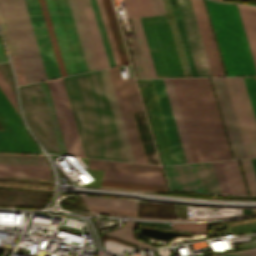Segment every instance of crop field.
I'll list each match as a JSON object with an SVG mask.
<instances>
[{
  "mask_svg": "<svg viewBox=\"0 0 256 256\" xmlns=\"http://www.w3.org/2000/svg\"><path fill=\"white\" fill-rule=\"evenodd\" d=\"M141 53L131 54L138 78L153 77L135 18H130Z\"/></svg>",
  "mask_w": 256,
  "mask_h": 256,
  "instance_id": "crop-field-25",
  "label": "crop field"
},
{
  "mask_svg": "<svg viewBox=\"0 0 256 256\" xmlns=\"http://www.w3.org/2000/svg\"><path fill=\"white\" fill-rule=\"evenodd\" d=\"M150 3L154 14L165 13L162 0H150Z\"/></svg>",
  "mask_w": 256,
  "mask_h": 256,
  "instance_id": "crop-field-51",
  "label": "crop field"
},
{
  "mask_svg": "<svg viewBox=\"0 0 256 256\" xmlns=\"http://www.w3.org/2000/svg\"><path fill=\"white\" fill-rule=\"evenodd\" d=\"M68 75L85 72L86 66L66 0H45Z\"/></svg>",
  "mask_w": 256,
  "mask_h": 256,
  "instance_id": "crop-field-6",
  "label": "crop field"
},
{
  "mask_svg": "<svg viewBox=\"0 0 256 256\" xmlns=\"http://www.w3.org/2000/svg\"><path fill=\"white\" fill-rule=\"evenodd\" d=\"M0 25L4 31V34H5V37H6V41H7V44H8V47H9V51H10V55L11 56H14V55H17L16 53V49H15V45H14V41L9 33V30L3 20V17L0 13Z\"/></svg>",
  "mask_w": 256,
  "mask_h": 256,
  "instance_id": "crop-field-45",
  "label": "crop field"
},
{
  "mask_svg": "<svg viewBox=\"0 0 256 256\" xmlns=\"http://www.w3.org/2000/svg\"><path fill=\"white\" fill-rule=\"evenodd\" d=\"M0 163L48 165L44 155L0 154Z\"/></svg>",
  "mask_w": 256,
  "mask_h": 256,
  "instance_id": "crop-field-33",
  "label": "crop field"
},
{
  "mask_svg": "<svg viewBox=\"0 0 256 256\" xmlns=\"http://www.w3.org/2000/svg\"><path fill=\"white\" fill-rule=\"evenodd\" d=\"M158 77H184L166 15L140 17Z\"/></svg>",
  "mask_w": 256,
  "mask_h": 256,
  "instance_id": "crop-field-5",
  "label": "crop field"
},
{
  "mask_svg": "<svg viewBox=\"0 0 256 256\" xmlns=\"http://www.w3.org/2000/svg\"><path fill=\"white\" fill-rule=\"evenodd\" d=\"M0 176L50 178L48 170L0 168Z\"/></svg>",
  "mask_w": 256,
  "mask_h": 256,
  "instance_id": "crop-field-37",
  "label": "crop field"
},
{
  "mask_svg": "<svg viewBox=\"0 0 256 256\" xmlns=\"http://www.w3.org/2000/svg\"><path fill=\"white\" fill-rule=\"evenodd\" d=\"M164 167L171 189L204 192L195 164Z\"/></svg>",
  "mask_w": 256,
  "mask_h": 256,
  "instance_id": "crop-field-19",
  "label": "crop field"
},
{
  "mask_svg": "<svg viewBox=\"0 0 256 256\" xmlns=\"http://www.w3.org/2000/svg\"><path fill=\"white\" fill-rule=\"evenodd\" d=\"M10 252L8 251H4V255L3 256H8Z\"/></svg>",
  "mask_w": 256,
  "mask_h": 256,
  "instance_id": "crop-field-58",
  "label": "crop field"
},
{
  "mask_svg": "<svg viewBox=\"0 0 256 256\" xmlns=\"http://www.w3.org/2000/svg\"><path fill=\"white\" fill-rule=\"evenodd\" d=\"M222 193L230 194L220 161L213 162Z\"/></svg>",
  "mask_w": 256,
  "mask_h": 256,
  "instance_id": "crop-field-44",
  "label": "crop field"
},
{
  "mask_svg": "<svg viewBox=\"0 0 256 256\" xmlns=\"http://www.w3.org/2000/svg\"><path fill=\"white\" fill-rule=\"evenodd\" d=\"M62 76L67 75L44 0H39Z\"/></svg>",
  "mask_w": 256,
  "mask_h": 256,
  "instance_id": "crop-field-35",
  "label": "crop field"
},
{
  "mask_svg": "<svg viewBox=\"0 0 256 256\" xmlns=\"http://www.w3.org/2000/svg\"><path fill=\"white\" fill-rule=\"evenodd\" d=\"M209 223H173L172 229L207 233Z\"/></svg>",
  "mask_w": 256,
  "mask_h": 256,
  "instance_id": "crop-field-42",
  "label": "crop field"
},
{
  "mask_svg": "<svg viewBox=\"0 0 256 256\" xmlns=\"http://www.w3.org/2000/svg\"><path fill=\"white\" fill-rule=\"evenodd\" d=\"M64 79L86 156L127 161L101 72Z\"/></svg>",
  "mask_w": 256,
  "mask_h": 256,
  "instance_id": "crop-field-2",
  "label": "crop field"
},
{
  "mask_svg": "<svg viewBox=\"0 0 256 256\" xmlns=\"http://www.w3.org/2000/svg\"><path fill=\"white\" fill-rule=\"evenodd\" d=\"M199 76H212L190 0H176Z\"/></svg>",
  "mask_w": 256,
  "mask_h": 256,
  "instance_id": "crop-field-14",
  "label": "crop field"
},
{
  "mask_svg": "<svg viewBox=\"0 0 256 256\" xmlns=\"http://www.w3.org/2000/svg\"><path fill=\"white\" fill-rule=\"evenodd\" d=\"M0 90L3 92V94L5 95L7 100L10 102V104L12 105V107L15 109V111L18 114V110H17V106H16V103H15L14 95L12 94V92L7 87V85L5 84V82L3 81V79L1 77H0Z\"/></svg>",
  "mask_w": 256,
  "mask_h": 256,
  "instance_id": "crop-field-46",
  "label": "crop field"
},
{
  "mask_svg": "<svg viewBox=\"0 0 256 256\" xmlns=\"http://www.w3.org/2000/svg\"><path fill=\"white\" fill-rule=\"evenodd\" d=\"M97 3H98V6H99V10H100V13H101V17H102V20H103L104 27H105V30H106V34H107V37H108L110 48H111V51H112V54H113L115 65L119 66V65H121L120 60H119V57H118V54H117V50H116V47H115V43H114V40H113V37H112V33H111V30H110V27H109V23H108V20H107V16H106V13H105V10H104L102 0H97Z\"/></svg>",
  "mask_w": 256,
  "mask_h": 256,
  "instance_id": "crop-field-40",
  "label": "crop field"
},
{
  "mask_svg": "<svg viewBox=\"0 0 256 256\" xmlns=\"http://www.w3.org/2000/svg\"><path fill=\"white\" fill-rule=\"evenodd\" d=\"M213 76H224L202 0H191Z\"/></svg>",
  "mask_w": 256,
  "mask_h": 256,
  "instance_id": "crop-field-18",
  "label": "crop field"
},
{
  "mask_svg": "<svg viewBox=\"0 0 256 256\" xmlns=\"http://www.w3.org/2000/svg\"><path fill=\"white\" fill-rule=\"evenodd\" d=\"M248 158L256 157V122L242 78H224Z\"/></svg>",
  "mask_w": 256,
  "mask_h": 256,
  "instance_id": "crop-field-10",
  "label": "crop field"
},
{
  "mask_svg": "<svg viewBox=\"0 0 256 256\" xmlns=\"http://www.w3.org/2000/svg\"><path fill=\"white\" fill-rule=\"evenodd\" d=\"M163 80L187 162L232 159L209 79Z\"/></svg>",
  "mask_w": 256,
  "mask_h": 256,
  "instance_id": "crop-field-1",
  "label": "crop field"
},
{
  "mask_svg": "<svg viewBox=\"0 0 256 256\" xmlns=\"http://www.w3.org/2000/svg\"><path fill=\"white\" fill-rule=\"evenodd\" d=\"M0 152L43 153L0 91Z\"/></svg>",
  "mask_w": 256,
  "mask_h": 256,
  "instance_id": "crop-field-9",
  "label": "crop field"
},
{
  "mask_svg": "<svg viewBox=\"0 0 256 256\" xmlns=\"http://www.w3.org/2000/svg\"><path fill=\"white\" fill-rule=\"evenodd\" d=\"M244 253L256 256V250L248 251V252H244Z\"/></svg>",
  "mask_w": 256,
  "mask_h": 256,
  "instance_id": "crop-field-56",
  "label": "crop field"
},
{
  "mask_svg": "<svg viewBox=\"0 0 256 256\" xmlns=\"http://www.w3.org/2000/svg\"><path fill=\"white\" fill-rule=\"evenodd\" d=\"M185 77L192 76L169 0H163Z\"/></svg>",
  "mask_w": 256,
  "mask_h": 256,
  "instance_id": "crop-field-28",
  "label": "crop field"
},
{
  "mask_svg": "<svg viewBox=\"0 0 256 256\" xmlns=\"http://www.w3.org/2000/svg\"><path fill=\"white\" fill-rule=\"evenodd\" d=\"M222 1V0H221Z\"/></svg>",
  "mask_w": 256,
  "mask_h": 256,
  "instance_id": "crop-field-60",
  "label": "crop field"
},
{
  "mask_svg": "<svg viewBox=\"0 0 256 256\" xmlns=\"http://www.w3.org/2000/svg\"><path fill=\"white\" fill-rule=\"evenodd\" d=\"M120 113L135 162L146 163L131 112L143 110L133 78L121 80L119 69H109Z\"/></svg>",
  "mask_w": 256,
  "mask_h": 256,
  "instance_id": "crop-field-8",
  "label": "crop field"
},
{
  "mask_svg": "<svg viewBox=\"0 0 256 256\" xmlns=\"http://www.w3.org/2000/svg\"><path fill=\"white\" fill-rule=\"evenodd\" d=\"M4 60H6V59H5V55H4L2 44L0 42V61H4Z\"/></svg>",
  "mask_w": 256,
  "mask_h": 256,
  "instance_id": "crop-field-55",
  "label": "crop field"
},
{
  "mask_svg": "<svg viewBox=\"0 0 256 256\" xmlns=\"http://www.w3.org/2000/svg\"><path fill=\"white\" fill-rule=\"evenodd\" d=\"M226 256H229V255H226Z\"/></svg>",
  "mask_w": 256,
  "mask_h": 256,
  "instance_id": "crop-field-59",
  "label": "crop field"
},
{
  "mask_svg": "<svg viewBox=\"0 0 256 256\" xmlns=\"http://www.w3.org/2000/svg\"><path fill=\"white\" fill-rule=\"evenodd\" d=\"M90 1H91L93 11H94V15H95V18H96L97 25H98V28H99L101 39H102V42H103V45H104L106 56H107V59H108V62H109V66L113 67V66H115L114 61H113L112 54H111V51H110V48H109V44H108V41H107V37H106L105 30H104V27H103V24H102V20H101V17H100V13H99V10H98L96 0H90Z\"/></svg>",
  "mask_w": 256,
  "mask_h": 256,
  "instance_id": "crop-field-39",
  "label": "crop field"
},
{
  "mask_svg": "<svg viewBox=\"0 0 256 256\" xmlns=\"http://www.w3.org/2000/svg\"><path fill=\"white\" fill-rule=\"evenodd\" d=\"M205 192L221 193L212 162L196 164Z\"/></svg>",
  "mask_w": 256,
  "mask_h": 256,
  "instance_id": "crop-field-30",
  "label": "crop field"
},
{
  "mask_svg": "<svg viewBox=\"0 0 256 256\" xmlns=\"http://www.w3.org/2000/svg\"><path fill=\"white\" fill-rule=\"evenodd\" d=\"M133 227H134V222L128 221V222H126L125 225L120 227L118 230L104 233V234H107V235H110V236H113V237H116V238H119V239H122L125 241L136 243L138 245L139 249L154 247L150 244H147L143 241L133 238V235H132Z\"/></svg>",
  "mask_w": 256,
  "mask_h": 256,
  "instance_id": "crop-field-34",
  "label": "crop field"
},
{
  "mask_svg": "<svg viewBox=\"0 0 256 256\" xmlns=\"http://www.w3.org/2000/svg\"><path fill=\"white\" fill-rule=\"evenodd\" d=\"M250 194H256V176L250 159L240 160Z\"/></svg>",
  "mask_w": 256,
  "mask_h": 256,
  "instance_id": "crop-field-41",
  "label": "crop field"
},
{
  "mask_svg": "<svg viewBox=\"0 0 256 256\" xmlns=\"http://www.w3.org/2000/svg\"><path fill=\"white\" fill-rule=\"evenodd\" d=\"M89 168L162 176L160 167L153 166V165L132 164V163L89 159Z\"/></svg>",
  "mask_w": 256,
  "mask_h": 256,
  "instance_id": "crop-field-20",
  "label": "crop field"
},
{
  "mask_svg": "<svg viewBox=\"0 0 256 256\" xmlns=\"http://www.w3.org/2000/svg\"><path fill=\"white\" fill-rule=\"evenodd\" d=\"M69 155L84 156L63 79L47 81Z\"/></svg>",
  "mask_w": 256,
  "mask_h": 256,
  "instance_id": "crop-field-11",
  "label": "crop field"
},
{
  "mask_svg": "<svg viewBox=\"0 0 256 256\" xmlns=\"http://www.w3.org/2000/svg\"><path fill=\"white\" fill-rule=\"evenodd\" d=\"M40 84H41V88H42V91H43V94H44V98H45V101H46L48 112H49V115H50V118H51V122H52V125H53L55 136H56V139H57V142H58L60 153L63 154V155H68L65 144H64V140H63V137H62V134H61V130H60V127H59V124H58L56 113H55V110H54V107H53V103H52V100H51V97H50V93H49V90H48V87H47V83L43 82V83H40Z\"/></svg>",
  "mask_w": 256,
  "mask_h": 256,
  "instance_id": "crop-field-31",
  "label": "crop field"
},
{
  "mask_svg": "<svg viewBox=\"0 0 256 256\" xmlns=\"http://www.w3.org/2000/svg\"><path fill=\"white\" fill-rule=\"evenodd\" d=\"M101 72H102V76H103L105 86H106V89H107V92H108L110 103H111V106H112V109H113V113H114V116H115V119H116V123H117L118 129H119V133H120L121 140H122V143H123V146H124V150H125V153H126V156H127V160L130 161V162H134L132 154H131V150H130V147H129V144H128V140H127V137H126V133H125V130H124V126H123V123H122V119H121V116H120V113H119V109H118V106H117V102H116V99H115V95H114V92H113V88H112L110 78H109V75H108V71L104 70V71H101Z\"/></svg>",
  "mask_w": 256,
  "mask_h": 256,
  "instance_id": "crop-field-23",
  "label": "crop field"
},
{
  "mask_svg": "<svg viewBox=\"0 0 256 256\" xmlns=\"http://www.w3.org/2000/svg\"><path fill=\"white\" fill-rule=\"evenodd\" d=\"M0 11L15 41L26 82L47 79L24 0H0Z\"/></svg>",
  "mask_w": 256,
  "mask_h": 256,
  "instance_id": "crop-field-4",
  "label": "crop field"
},
{
  "mask_svg": "<svg viewBox=\"0 0 256 256\" xmlns=\"http://www.w3.org/2000/svg\"><path fill=\"white\" fill-rule=\"evenodd\" d=\"M256 67V7L237 5Z\"/></svg>",
  "mask_w": 256,
  "mask_h": 256,
  "instance_id": "crop-field-22",
  "label": "crop field"
},
{
  "mask_svg": "<svg viewBox=\"0 0 256 256\" xmlns=\"http://www.w3.org/2000/svg\"><path fill=\"white\" fill-rule=\"evenodd\" d=\"M143 1H144V4H145V7H146L147 14L148 15L153 14L150 3H149V0H143Z\"/></svg>",
  "mask_w": 256,
  "mask_h": 256,
  "instance_id": "crop-field-54",
  "label": "crop field"
},
{
  "mask_svg": "<svg viewBox=\"0 0 256 256\" xmlns=\"http://www.w3.org/2000/svg\"><path fill=\"white\" fill-rule=\"evenodd\" d=\"M68 3H69V6H70V10H71L73 20H74V23H75V26H76V30H77V33H78V36H79V40H80V43H81V46H82V50H83V53H84V56H85V60H86L87 66H88V70L89 71L95 70L92 59H91V55H90V52H89V48H88V45H87V41H86V38H85V35H84V31H83V28H82V24H81V21H80V18H79V14H78V11H77L75 1L74 0H68Z\"/></svg>",
  "mask_w": 256,
  "mask_h": 256,
  "instance_id": "crop-field-32",
  "label": "crop field"
},
{
  "mask_svg": "<svg viewBox=\"0 0 256 256\" xmlns=\"http://www.w3.org/2000/svg\"><path fill=\"white\" fill-rule=\"evenodd\" d=\"M193 76H198L175 0H170Z\"/></svg>",
  "mask_w": 256,
  "mask_h": 256,
  "instance_id": "crop-field-36",
  "label": "crop field"
},
{
  "mask_svg": "<svg viewBox=\"0 0 256 256\" xmlns=\"http://www.w3.org/2000/svg\"><path fill=\"white\" fill-rule=\"evenodd\" d=\"M0 167L49 169L48 166H35V165H9V164H0Z\"/></svg>",
  "mask_w": 256,
  "mask_h": 256,
  "instance_id": "crop-field-52",
  "label": "crop field"
},
{
  "mask_svg": "<svg viewBox=\"0 0 256 256\" xmlns=\"http://www.w3.org/2000/svg\"><path fill=\"white\" fill-rule=\"evenodd\" d=\"M177 163H187L162 79L152 80Z\"/></svg>",
  "mask_w": 256,
  "mask_h": 256,
  "instance_id": "crop-field-17",
  "label": "crop field"
},
{
  "mask_svg": "<svg viewBox=\"0 0 256 256\" xmlns=\"http://www.w3.org/2000/svg\"><path fill=\"white\" fill-rule=\"evenodd\" d=\"M104 6H105V10L108 16V20L110 23V27L113 33V37L116 43V47L118 50V54L121 60V64H127L129 63L128 61V57L126 54V50H125V46L123 43V39L120 33V29L116 20V16L112 7V3L111 0H103Z\"/></svg>",
  "mask_w": 256,
  "mask_h": 256,
  "instance_id": "crop-field-27",
  "label": "crop field"
},
{
  "mask_svg": "<svg viewBox=\"0 0 256 256\" xmlns=\"http://www.w3.org/2000/svg\"><path fill=\"white\" fill-rule=\"evenodd\" d=\"M101 187L114 188V189H122V190H131V191H138V190H161V191H167L166 187H161V186L139 185V184L107 182V181H102Z\"/></svg>",
  "mask_w": 256,
  "mask_h": 256,
  "instance_id": "crop-field-38",
  "label": "crop field"
},
{
  "mask_svg": "<svg viewBox=\"0 0 256 256\" xmlns=\"http://www.w3.org/2000/svg\"><path fill=\"white\" fill-rule=\"evenodd\" d=\"M80 18L83 24L85 35L88 41L95 69L107 68L108 62L105 56L103 45L100 39L98 28L95 22L93 11L89 0H75Z\"/></svg>",
  "mask_w": 256,
  "mask_h": 256,
  "instance_id": "crop-field-16",
  "label": "crop field"
},
{
  "mask_svg": "<svg viewBox=\"0 0 256 256\" xmlns=\"http://www.w3.org/2000/svg\"><path fill=\"white\" fill-rule=\"evenodd\" d=\"M235 159L247 158L223 78H211Z\"/></svg>",
  "mask_w": 256,
  "mask_h": 256,
  "instance_id": "crop-field-15",
  "label": "crop field"
},
{
  "mask_svg": "<svg viewBox=\"0 0 256 256\" xmlns=\"http://www.w3.org/2000/svg\"><path fill=\"white\" fill-rule=\"evenodd\" d=\"M123 2L126 8L127 16L128 17L136 16L131 0H123Z\"/></svg>",
  "mask_w": 256,
  "mask_h": 256,
  "instance_id": "crop-field-53",
  "label": "crop field"
},
{
  "mask_svg": "<svg viewBox=\"0 0 256 256\" xmlns=\"http://www.w3.org/2000/svg\"><path fill=\"white\" fill-rule=\"evenodd\" d=\"M21 105L33 134L50 153H59L40 84L19 87Z\"/></svg>",
  "mask_w": 256,
  "mask_h": 256,
  "instance_id": "crop-field-7",
  "label": "crop field"
},
{
  "mask_svg": "<svg viewBox=\"0 0 256 256\" xmlns=\"http://www.w3.org/2000/svg\"><path fill=\"white\" fill-rule=\"evenodd\" d=\"M102 180L166 186L162 177L104 171Z\"/></svg>",
  "mask_w": 256,
  "mask_h": 256,
  "instance_id": "crop-field-24",
  "label": "crop field"
},
{
  "mask_svg": "<svg viewBox=\"0 0 256 256\" xmlns=\"http://www.w3.org/2000/svg\"><path fill=\"white\" fill-rule=\"evenodd\" d=\"M82 197L86 205L133 210V211H136L137 209L136 201L120 200V199H112V198H101V197H89V196H82Z\"/></svg>",
  "mask_w": 256,
  "mask_h": 256,
  "instance_id": "crop-field-29",
  "label": "crop field"
},
{
  "mask_svg": "<svg viewBox=\"0 0 256 256\" xmlns=\"http://www.w3.org/2000/svg\"><path fill=\"white\" fill-rule=\"evenodd\" d=\"M231 194H247L236 160L221 161Z\"/></svg>",
  "mask_w": 256,
  "mask_h": 256,
  "instance_id": "crop-field-26",
  "label": "crop field"
},
{
  "mask_svg": "<svg viewBox=\"0 0 256 256\" xmlns=\"http://www.w3.org/2000/svg\"><path fill=\"white\" fill-rule=\"evenodd\" d=\"M232 256H250V255H246V254H243V253H238V254H232Z\"/></svg>",
  "mask_w": 256,
  "mask_h": 256,
  "instance_id": "crop-field-57",
  "label": "crop field"
},
{
  "mask_svg": "<svg viewBox=\"0 0 256 256\" xmlns=\"http://www.w3.org/2000/svg\"><path fill=\"white\" fill-rule=\"evenodd\" d=\"M90 210L94 213H106V214H122V215H131L135 216L136 212L132 211H122V210H112V209H104L89 206Z\"/></svg>",
  "mask_w": 256,
  "mask_h": 256,
  "instance_id": "crop-field-47",
  "label": "crop field"
},
{
  "mask_svg": "<svg viewBox=\"0 0 256 256\" xmlns=\"http://www.w3.org/2000/svg\"><path fill=\"white\" fill-rule=\"evenodd\" d=\"M227 76L256 75L236 5L205 0Z\"/></svg>",
  "mask_w": 256,
  "mask_h": 256,
  "instance_id": "crop-field-3",
  "label": "crop field"
},
{
  "mask_svg": "<svg viewBox=\"0 0 256 256\" xmlns=\"http://www.w3.org/2000/svg\"><path fill=\"white\" fill-rule=\"evenodd\" d=\"M136 19H137L138 26H139V29H140V32H141V36H142V39H143V42H144V46H145V49H146V52H147V56H148V59H149V62H150V66H151V69H152V72H153V76L157 77L154 66H153V62H152V59H151V55H150V52H149V49H148V45H147V42H146V39H145V35H144V32H143V28H142V25H141V22H140V18L137 17Z\"/></svg>",
  "mask_w": 256,
  "mask_h": 256,
  "instance_id": "crop-field-49",
  "label": "crop field"
},
{
  "mask_svg": "<svg viewBox=\"0 0 256 256\" xmlns=\"http://www.w3.org/2000/svg\"><path fill=\"white\" fill-rule=\"evenodd\" d=\"M147 163L159 164L144 112L132 113Z\"/></svg>",
  "mask_w": 256,
  "mask_h": 256,
  "instance_id": "crop-field-21",
  "label": "crop field"
},
{
  "mask_svg": "<svg viewBox=\"0 0 256 256\" xmlns=\"http://www.w3.org/2000/svg\"><path fill=\"white\" fill-rule=\"evenodd\" d=\"M256 119V77L243 78Z\"/></svg>",
  "mask_w": 256,
  "mask_h": 256,
  "instance_id": "crop-field-43",
  "label": "crop field"
},
{
  "mask_svg": "<svg viewBox=\"0 0 256 256\" xmlns=\"http://www.w3.org/2000/svg\"><path fill=\"white\" fill-rule=\"evenodd\" d=\"M137 16L147 15L142 0H132Z\"/></svg>",
  "mask_w": 256,
  "mask_h": 256,
  "instance_id": "crop-field-50",
  "label": "crop field"
},
{
  "mask_svg": "<svg viewBox=\"0 0 256 256\" xmlns=\"http://www.w3.org/2000/svg\"><path fill=\"white\" fill-rule=\"evenodd\" d=\"M11 59H12V63H13V67H14V71H15V75H16L18 84L19 85L25 84L26 82H25V79H24V76L22 73V69H21L18 57L14 56V57H11Z\"/></svg>",
  "mask_w": 256,
  "mask_h": 256,
  "instance_id": "crop-field-48",
  "label": "crop field"
},
{
  "mask_svg": "<svg viewBox=\"0 0 256 256\" xmlns=\"http://www.w3.org/2000/svg\"><path fill=\"white\" fill-rule=\"evenodd\" d=\"M142 88V92L145 98L151 123L154 129L158 147L161 153L163 164H173L175 158L172 152V148L169 142V138L166 132V128L163 122L161 111L158 105V101L155 95V91L151 80H139Z\"/></svg>",
  "mask_w": 256,
  "mask_h": 256,
  "instance_id": "crop-field-13",
  "label": "crop field"
},
{
  "mask_svg": "<svg viewBox=\"0 0 256 256\" xmlns=\"http://www.w3.org/2000/svg\"><path fill=\"white\" fill-rule=\"evenodd\" d=\"M47 78L60 77L59 68L38 0H25Z\"/></svg>",
  "mask_w": 256,
  "mask_h": 256,
  "instance_id": "crop-field-12",
  "label": "crop field"
}]
</instances>
